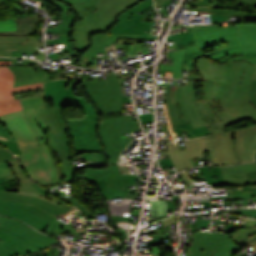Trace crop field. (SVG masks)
Wrapping results in <instances>:
<instances>
[{
  "mask_svg": "<svg viewBox=\"0 0 256 256\" xmlns=\"http://www.w3.org/2000/svg\"><path fill=\"white\" fill-rule=\"evenodd\" d=\"M0 143L4 144L5 147H7V148H8L11 152H13L14 154L20 153V151H19V149H18L16 143L4 141V140H0Z\"/></svg>",
  "mask_w": 256,
  "mask_h": 256,
  "instance_id": "b54c1fbb",
  "label": "crop field"
},
{
  "mask_svg": "<svg viewBox=\"0 0 256 256\" xmlns=\"http://www.w3.org/2000/svg\"><path fill=\"white\" fill-rule=\"evenodd\" d=\"M209 147L214 165H233L239 164L234 147V130H229L227 135L217 133L208 136Z\"/></svg>",
  "mask_w": 256,
  "mask_h": 256,
  "instance_id": "5142ce71",
  "label": "crop field"
},
{
  "mask_svg": "<svg viewBox=\"0 0 256 256\" xmlns=\"http://www.w3.org/2000/svg\"><path fill=\"white\" fill-rule=\"evenodd\" d=\"M89 166H98V167H101V166H105V164H98V163H91V162H88V163H86L85 165H82L81 167L84 168V167H89Z\"/></svg>",
  "mask_w": 256,
  "mask_h": 256,
  "instance_id": "447ae74e",
  "label": "crop field"
},
{
  "mask_svg": "<svg viewBox=\"0 0 256 256\" xmlns=\"http://www.w3.org/2000/svg\"><path fill=\"white\" fill-rule=\"evenodd\" d=\"M8 163H9V165L12 167V169H13V171H14L16 177H17V179H18L20 182L34 183V182H32L30 179H28V178L24 175V173H23V171H22V169H21V167H20V165H19V163H18L17 160L8 161Z\"/></svg>",
  "mask_w": 256,
  "mask_h": 256,
  "instance_id": "d32e631a",
  "label": "crop field"
},
{
  "mask_svg": "<svg viewBox=\"0 0 256 256\" xmlns=\"http://www.w3.org/2000/svg\"><path fill=\"white\" fill-rule=\"evenodd\" d=\"M47 229V228H46ZM65 230H63V229H60V228H58L57 226L55 227V228H53V227H49L47 230H45V231H43V233H45V234H49V235H53V236H58V235H60L61 233H63Z\"/></svg>",
  "mask_w": 256,
  "mask_h": 256,
  "instance_id": "5d738f31",
  "label": "crop field"
},
{
  "mask_svg": "<svg viewBox=\"0 0 256 256\" xmlns=\"http://www.w3.org/2000/svg\"><path fill=\"white\" fill-rule=\"evenodd\" d=\"M0 197L16 200V201H20V202L30 203V204L37 206L45 211L50 212L58 217H60L61 215L63 216L68 211V210L60 208L46 200L17 194V192L0 190Z\"/></svg>",
  "mask_w": 256,
  "mask_h": 256,
  "instance_id": "00972430",
  "label": "crop field"
},
{
  "mask_svg": "<svg viewBox=\"0 0 256 256\" xmlns=\"http://www.w3.org/2000/svg\"><path fill=\"white\" fill-rule=\"evenodd\" d=\"M198 170L205 177L206 182L214 186L249 184L247 174L222 176L219 167H198Z\"/></svg>",
  "mask_w": 256,
  "mask_h": 256,
  "instance_id": "92a150f3",
  "label": "crop field"
},
{
  "mask_svg": "<svg viewBox=\"0 0 256 256\" xmlns=\"http://www.w3.org/2000/svg\"><path fill=\"white\" fill-rule=\"evenodd\" d=\"M49 1L57 5L64 14L60 15L63 21L58 24L57 27L48 28L46 33L70 34L71 25L75 20L76 16L73 14H71L70 16L66 14V11L70 9L66 5L56 2L54 0ZM59 26H61V28H59Z\"/></svg>",
  "mask_w": 256,
  "mask_h": 256,
  "instance_id": "ae1a2a85",
  "label": "crop field"
},
{
  "mask_svg": "<svg viewBox=\"0 0 256 256\" xmlns=\"http://www.w3.org/2000/svg\"><path fill=\"white\" fill-rule=\"evenodd\" d=\"M25 117L39 139L41 146L20 148L21 155H16L26 174L45 187L58 183L55 164L47 146L44 133H48L37 107H43L41 96L20 100Z\"/></svg>",
  "mask_w": 256,
  "mask_h": 256,
  "instance_id": "412701ff",
  "label": "crop field"
},
{
  "mask_svg": "<svg viewBox=\"0 0 256 256\" xmlns=\"http://www.w3.org/2000/svg\"><path fill=\"white\" fill-rule=\"evenodd\" d=\"M139 117L142 124L153 122V114H140Z\"/></svg>",
  "mask_w": 256,
  "mask_h": 256,
  "instance_id": "73cf0c24",
  "label": "crop field"
},
{
  "mask_svg": "<svg viewBox=\"0 0 256 256\" xmlns=\"http://www.w3.org/2000/svg\"><path fill=\"white\" fill-rule=\"evenodd\" d=\"M256 196V191H248V192H230L231 200L243 199L246 197Z\"/></svg>",
  "mask_w": 256,
  "mask_h": 256,
  "instance_id": "b80d0937",
  "label": "crop field"
},
{
  "mask_svg": "<svg viewBox=\"0 0 256 256\" xmlns=\"http://www.w3.org/2000/svg\"><path fill=\"white\" fill-rule=\"evenodd\" d=\"M16 159L15 157L9 156V157H1L0 161H4V160H14Z\"/></svg>",
  "mask_w": 256,
  "mask_h": 256,
  "instance_id": "78b8030e",
  "label": "crop field"
},
{
  "mask_svg": "<svg viewBox=\"0 0 256 256\" xmlns=\"http://www.w3.org/2000/svg\"><path fill=\"white\" fill-rule=\"evenodd\" d=\"M54 158L59 182H73L75 166L71 162V142L68 131L46 134Z\"/></svg>",
  "mask_w": 256,
  "mask_h": 256,
  "instance_id": "28ad6ade",
  "label": "crop field"
},
{
  "mask_svg": "<svg viewBox=\"0 0 256 256\" xmlns=\"http://www.w3.org/2000/svg\"><path fill=\"white\" fill-rule=\"evenodd\" d=\"M121 34H97L92 36L91 42L92 46L91 48L86 51L85 53L82 54V57H87V58H99L103 59L100 57H97V53H105V48L106 46H112L117 40V38Z\"/></svg>",
  "mask_w": 256,
  "mask_h": 256,
  "instance_id": "730fd06b",
  "label": "crop field"
},
{
  "mask_svg": "<svg viewBox=\"0 0 256 256\" xmlns=\"http://www.w3.org/2000/svg\"><path fill=\"white\" fill-rule=\"evenodd\" d=\"M9 155H13V154L10 153L9 151H7L6 149L0 147V157L1 156H9Z\"/></svg>",
  "mask_w": 256,
  "mask_h": 256,
  "instance_id": "9d1cf04e",
  "label": "crop field"
},
{
  "mask_svg": "<svg viewBox=\"0 0 256 256\" xmlns=\"http://www.w3.org/2000/svg\"><path fill=\"white\" fill-rule=\"evenodd\" d=\"M221 212H226V213H232L240 216H245V217H255L256 218V209H238V210H224Z\"/></svg>",
  "mask_w": 256,
  "mask_h": 256,
  "instance_id": "028f5c9d",
  "label": "crop field"
},
{
  "mask_svg": "<svg viewBox=\"0 0 256 256\" xmlns=\"http://www.w3.org/2000/svg\"><path fill=\"white\" fill-rule=\"evenodd\" d=\"M151 256H159V255H154V254H152Z\"/></svg>",
  "mask_w": 256,
  "mask_h": 256,
  "instance_id": "c5b07064",
  "label": "crop field"
},
{
  "mask_svg": "<svg viewBox=\"0 0 256 256\" xmlns=\"http://www.w3.org/2000/svg\"><path fill=\"white\" fill-rule=\"evenodd\" d=\"M73 210H75L74 207H73L68 213H66L65 215L69 214V213H70L71 211H73ZM65 215H64V216H65ZM64 216H63V217H64Z\"/></svg>",
  "mask_w": 256,
  "mask_h": 256,
  "instance_id": "d14b1444",
  "label": "crop field"
},
{
  "mask_svg": "<svg viewBox=\"0 0 256 256\" xmlns=\"http://www.w3.org/2000/svg\"><path fill=\"white\" fill-rule=\"evenodd\" d=\"M249 245L256 249V240H254L253 242L249 243Z\"/></svg>",
  "mask_w": 256,
  "mask_h": 256,
  "instance_id": "e1d0b9f6",
  "label": "crop field"
},
{
  "mask_svg": "<svg viewBox=\"0 0 256 256\" xmlns=\"http://www.w3.org/2000/svg\"><path fill=\"white\" fill-rule=\"evenodd\" d=\"M69 202H71L72 204H74V205L78 208V210H79L81 213L84 214V216H85L86 219L93 217V215L91 214V212H90L87 208H85V207L77 200V198H76V199H72V200H70ZM71 203H70V204H71ZM74 205H73V206H74Z\"/></svg>",
  "mask_w": 256,
  "mask_h": 256,
  "instance_id": "c035e120",
  "label": "crop field"
},
{
  "mask_svg": "<svg viewBox=\"0 0 256 256\" xmlns=\"http://www.w3.org/2000/svg\"><path fill=\"white\" fill-rule=\"evenodd\" d=\"M239 247L225 234L195 233L186 256H232Z\"/></svg>",
  "mask_w": 256,
  "mask_h": 256,
  "instance_id": "3316defc",
  "label": "crop field"
},
{
  "mask_svg": "<svg viewBox=\"0 0 256 256\" xmlns=\"http://www.w3.org/2000/svg\"><path fill=\"white\" fill-rule=\"evenodd\" d=\"M191 5L196 14L211 16L212 23L228 20V16L255 17L256 20V8L239 0H197Z\"/></svg>",
  "mask_w": 256,
  "mask_h": 256,
  "instance_id": "d8731c3e",
  "label": "crop field"
},
{
  "mask_svg": "<svg viewBox=\"0 0 256 256\" xmlns=\"http://www.w3.org/2000/svg\"><path fill=\"white\" fill-rule=\"evenodd\" d=\"M209 223H210V220H201V219H197L196 226H199V227H208V228H209Z\"/></svg>",
  "mask_w": 256,
  "mask_h": 256,
  "instance_id": "dbb93151",
  "label": "crop field"
},
{
  "mask_svg": "<svg viewBox=\"0 0 256 256\" xmlns=\"http://www.w3.org/2000/svg\"><path fill=\"white\" fill-rule=\"evenodd\" d=\"M0 121L14 137L19 147L40 145L24 118L23 111L0 117Z\"/></svg>",
  "mask_w": 256,
  "mask_h": 256,
  "instance_id": "d9b57169",
  "label": "crop field"
},
{
  "mask_svg": "<svg viewBox=\"0 0 256 256\" xmlns=\"http://www.w3.org/2000/svg\"><path fill=\"white\" fill-rule=\"evenodd\" d=\"M111 74L107 76L106 81L81 82L89 98L103 116L107 113L123 111L122 103L131 102L128 98L131 96H121L120 79L116 77L113 70ZM138 130H141L138 121H134L130 115L105 119V122L100 125L99 133L110 163H116L123 149L135 138L122 139L121 135Z\"/></svg>",
  "mask_w": 256,
  "mask_h": 256,
  "instance_id": "34b2d1b8",
  "label": "crop field"
},
{
  "mask_svg": "<svg viewBox=\"0 0 256 256\" xmlns=\"http://www.w3.org/2000/svg\"><path fill=\"white\" fill-rule=\"evenodd\" d=\"M73 214H75L78 219L82 218L81 214L78 211H73Z\"/></svg>",
  "mask_w": 256,
  "mask_h": 256,
  "instance_id": "0f1d7ab4",
  "label": "crop field"
},
{
  "mask_svg": "<svg viewBox=\"0 0 256 256\" xmlns=\"http://www.w3.org/2000/svg\"><path fill=\"white\" fill-rule=\"evenodd\" d=\"M153 236V240H150V245H160L165 244L166 249H170L169 243H162L161 239H165L161 231L153 232L150 237Z\"/></svg>",
  "mask_w": 256,
  "mask_h": 256,
  "instance_id": "e1f06a70",
  "label": "crop field"
},
{
  "mask_svg": "<svg viewBox=\"0 0 256 256\" xmlns=\"http://www.w3.org/2000/svg\"><path fill=\"white\" fill-rule=\"evenodd\" d=\"M187 150L180 151L178 142L168 143L167 149L178 171L194 167L191 160L203 157L202 151L210 150L207 136L186 141Z\"/></svg>",
  "mask_w": 256,
  "mask_h": 256,
  "instance_id": "cbeb9de0",
  "label": "crop field"
},
{
  "mask_svg": "<svg viewBox=\"0 0 256 256\" xmlns=\"http://www.w3.org/2000/svg\"><path fill=\"white\" fill-rule=\"evenodd\" d=\"M72 141V153L103 152L96 132L98 123L88 119H66Z\"/></svg>",
  "mask_w": 256,
  "mask_h": 256,
  "instance_id": "d1516ede",
  "label": "crop field"
},
{
  "mask_svg": "<svg viewBox=\"0 0 256 256\" xmlns=\"http://www.w3.org/2000/svg\"><path fill=\"white\" fill-rule=\"evenodd\" d=\"M196 63L200 75L192 71L185 86H167L168 104L163 105L172 135L183 136L185 130L192 139L226 130L241 119L256 121L249 96L255 66L247 61L214 64L203 58Z\"/></svg>",
  "mask_w": 256,
  "mask_h": 256,
  "instance_id": "8a807250",
  "label": "crop field"
},
{
  "mask_svg": "<svg viewBox=\"0 0 256 256\" xmlns=\"http://www.w3.org/2000/svg\"><path fill=\"white\" fill-rule=\"evenodd\" d=\"M153 7L152 0H144L132 9H128L118 17V23L113 26L110 33H123L120 37L137 39H157V37L144 36V30H151V23L142 22L144 15ZM139 12V14H137Z\"/></svg>",
  "mask_w": 256,
  "mask_h": 256,
  "instance_id": "5a996713",
  "label": "crop field"
},
{
  "mask_svg": "<svg viewBox=\"0 0 256 256\" xmlns=\"http://www.w3.org/2000/svg\"><path fill=\"white\" fill-rule=\"evenodd\" d=\"M254 156H255V160H256V153H255V155H254Z\"/></svg>",
  "mask_w": 256,
  "mask_h": 256,
  "instance_id": "c3a83c6f",
  "label": "crop field"
},
{
  "mask_svg": "<svg viewBox=\"0 0 256 256\" xmlns=\"http://www.w3.org/2000/svg\"><path fill=\"white\" fill-rule=\"evenodd\" d=\"M245 225L246 227L255 226V221L245 219Z\"/></svg>",
  "mask_w": 256,
  "mask_h": 256,
  "instance_id": "db79e9e6",
  "label": "crop field"
},
{
  "mask_svg": "<svg viewBox=\"0 0 256 256\" xmlns=\"http://www.w3.org/2000/svg\"><path fill=\"white\" fill-rule=\"evenodd\" d=\"M44 108H39L40 114L50 132L68 130L62 107H46L45 97L42 96Z\"/></svg>",
  "mask_w": 256,
  "mask_h": 256,
  "instance_id": "dafd665d",
  "label": "crop field"
},
{
  "mask_svg": "<svg viewBox=\"0 0 256 256\" xmlns=\"http://www.w3.org/2000/svg\"><path fill=\"white\" fill-rule=\"evenodd\" d=\"M229 235L240 247H243L247 243L256 239V227L240 229L230 233Z\"/></svg>",
  "mask_w": 256,
  "mask_h": 256,
  "instance_id": "1d83c4d3",
  "label": "crop field"
},
{
  "mask_svg": "<svg viewBox=\"0 0 256 256\" xmlns=\"http://www.w3.org/2000/svg\"><path fill=\"white\" fill-rule=\"evenodd\" d=\"M0 139H5V138L0 136ZM5 140H7V139H5Z\"/></svg>",
  "mask_w": 256,
  "mask_h": 256,
  "instance_id": "c39391a2",
  "label": "crop field"
},
{
  "mask_svg": "<svg viewBox=\"0 0 256 256\" xmlns=\"http://www.w3.org/2000/svg\"><path fill=\"white\" fill-rule=\"evenodd\" d=\"M67 82L68 80H55L44 84V94L53 93L54 106L63 105Z\"/></svg>",
  "mask_w": 256,
  "mask_h": 256,
  "instance_id": "d3111659",
  "label": "crop field"
},
{
  "mask_svg": "<svg viewBox=\"0 0 256 256\" xmlns=\"http://www.w3.org/2000/svg\"><path fill=\"white\" fill-rule=\"evenodd\" d=\"M68 3L73 7L74 12L78 15V20L82 19L88 13L96 10L99 0H60Z\"/></svg>",
  "mask_w": 256,
  "mask_h": 256,
  "instance_id": "750c4746",
  "label": "crop field"
},
{
  "mask_svg": "<svg viewBox=\"0 0 256 256\" xmlns=\"http://www.w3.org/2000/svg\"><path fill=\"white\" fill-rule=\"evenodd\" d=\"M136 179L142 178L136 175L110 174L96 184L105 199H119L126 198L125 191L135 183Z\"/></svg>",
  "mask_w": 256,
  "mask_h": 256,
  "instance_id": "733c2abd",
  "label": "crop field"
},
{
  "mask_svg": "<svg viewBox=\"0 0 256 256\" xmlns=\"http://www.w3.org/2000/svg\"><path fill=\"white\" fill-rule=\"evenodd\" d=\"M45 97H46L47 106H50V105H49V100H52V99H53L52 94L45 95Z\"/></svg>",
  "mask_w": 256,
  "mask_h": 256,
  "instance_id": "7b73153f",
  "label": "crop field"
},
{
  "mask_svg": "<svg viewBox=\"0 0 256 256\" xmlns=\"http://www.w3.org/2000/svg\"><path fill=\"white\" fill-rule=\"evenodd\" d=\"M0 61H11V58H0Z\"/></svg>",
  "mask_w": 256,
  "mask_h": 256,
  "instance_id": "ae633e8c",
  "label": "crop field"
},
{
  "mask_svg": "<svg viewBox=\"0 0 256 256\" xmlns=\"http://www.w3.org/2000/svg\"><path fill=\"white\" fill-rule=\"evenodd\" d=\"M82 159L107 163L103 153H84Z\"/></svg>",
  "mask_w": 256,
  "mask_h": 256,
  "instance_id": "0bd39190",
  "label": "crop field"
},
{
  "mask_svg": "<svg viewBox=\"0 0 256 256\" xmlns=\"http://www.w3.org/2000/svg\"><path fill=\"white\" fill-rule=\"evenodd\" d=\"M0 135L6 137L10 141H14L12 136L9 134V132L6 130V128L3 126V124L0 122Z\"/></svg>",
  "mask_w": 256,
  "mask_h": 256,
  "instance_id": "89e229c0",
  "label": "crop field"
},
{
  "mask_svg": "<svg viewBox=\"0 0 256 256\" xmlns=\"http://www.w3.org/2000/svg\"><path fill=\"white\" fill-rule=\"evenodd\" d=\"M141 0H100L97 11L73 25L75 49L83 53L89 49L90 38L97 33H107L115 25L120 12L133 7ZM91 20V21H89Z\"/></svg>",
  "mask_w": 256,
  "mask_h": 256,
  "instance_id": "f4fd0767",
  "label": "crop field"
},
{
  "mask_svg": "<svg viewBox=\"0 0 256 256\" xmlns=\"http://www.w3.org/2000/svg\"><path fill=\"white\" fill-rule=\"evenodd\" d=\"M110 173H120L117 165H110L106 170L86 169L85 180L97 182Z\"/></svg>",
  "mask_w": 256,
  "mask_h": 256,
  "instance_id": "120bbe31",
  "label": "crop field"
},
{
  "mask_svg": "<svg viewBox=\"0 0 256 256\" xmlns=\"http://www.w3.org/2000/svg\"><path fill=\"white\" fill-rule=\"evenodd\" d=\"M168 154V152L167 151H164V152H161V155H167ZM169 157H170V155H169ZM159 161V163H160V166H161V168L162 169H165V168H169V167H173L174 166V164H173V162H172V160H171V157H170V159H162V160H158ZM176 168V167H175ZM177 170V169H176ZM178 172V171H177Z\"/></svg>",
  "mask_w": 256,
  "mask_h": 256,
  "instance_id": "03da06ac",
  "label": "crop field"
},
{
  "mask_svg": "<svg viewBox=\"0 0 256 256\" xmlns=\"http://www.w3.org/2000/svg\"><path fill=\"white\" fill-rule=\"evenodd\" d=\"M19 183L7 161L0 162V189L17 191Z\"/></svg>",
  "mask_w": 256,
  "mask_h": 256,
  "instance_id": "eef30255",
  "label": "crop field"
},
{
  "mask_svg": "<svg viewBox=\"0 0 256 256\" xmlns=\"http://www.w3.org/2000/svg\"><path fill=\"white\" fill-rule=\"evenodd\" d=\"M1 243H2V241H0V244ZM0 256H18V255L16 253H14L13 251L0 245Z\"/></svg>",
  "mask_w": 256,
  "mask_h": 256,
  "instance_id": "25e5ab78",
  "label": "crop field"
},
{
  "mask_svg": "<svg viewBox=\"0 0 256 256\" xmlns=\"http://www.w3.org/2000/svg\"><path fill=\"white\" fill-rule=\"evenodd\" d=\"M11 62H0V116L23 110L19 100H14L12 92L42 87V83L12 88L13 75L8 67Z\"/></svg>",
  "mask_w": 256,
  "mask_h": 256,
  "instance_id": "22f410ed",
  "label": "crop field"
},
{
  "mask_svg": "<svg viewBox=\"0 0 256 256\" xmlns=\"http://www.w3.org/2000/svg\"><path fill=\"white\" fill-rule=\"evenodd\" d=\"M171 0H155L156 7H166Z\"/></svg>",
  "mask_w": 256,
  "mask_h": 256,
  "instance_id": "1f2cbd36",
  "label": "crop field"
},
{
  "mask_svg": "<svg viewBox=\"0 0 256 256\" xmlns=\"http://www.w3.org/2000/svg\"><path fill=\"white\" fill-rule=\"evenodd\" d=\"M253 79H256V73H255V75H254V78Z\"/></svg>",
  "mask_w": 256,
  "mask_h": 256,
  "instance_id": "ade564c9",
  "label": "crop field"
},
{
  "mask_svg": "<svg viewBox=\"0 0 256 256\" xmlns=\"http://www.w3.org/2000/svg\"><path fill=\"white\" fill-rule=\"evenodd\" d=\"M1 245L19 255L41 252L59 241L43 235L23 222L0 216Z\"/></svg>",
  "mask_w": 256,
  "mask_h": 256,
  "instance_id": "dd49c442",
  "label": "crop field"
},
{
  "mask_svg": "<svg viewBox=\"0 0 256 256\" xmlns=\"http://www.w3.org/2000/svg\"><path fill=\"white\" fill-rule=\"evenodd\" d=\"M0 214L21 219L40 232L48 228L50 225L54 227L57 225L60 228L78 235L74 228L58 221V217L53 216L30 204L0 198Z\"/></svg>",
  "mask_w": 256,
  "mask_h": 256,
  "instance_id": "e52e79f7",
  "label": "crop field"
},
{
  "mask_svg": "<svg viewBox=\"0 0 256 256\" xmlns=\"http://www.w3.org/2000/svg\"><path fill=\"white\" fill-rule=\"evenodd\" d=\"M177 219H178V217L171 218V219H168V220L163 221L162 223H163L164 226H165V225H169V224H172V223H176V222H177Z\"/></svg>",
  "mask_w": 256,
  "mask_h": 256,
  "instance_id": "1d79db26",
  "label": "crop field"
},
{
  "mask_svg": "<svg viewBox=\"0 0 256 256\" xmlns=\"http://www.w3.org/2000/svg\"><path fill=\"white\" fill-rule=\"evenodd\" d=\"M235 147L242 163L254 161L253 152L256 150V125L235 130Z\"/></svg>",
  "mask_w": 256,
  "mask_h": 256,
  "instance_id": "4a817a6b",
  "label": "crop field"
},
{
  "mask_svg": "<svg viewBox=\"0 0 256 256\" xmlns=\"http://www.w3.org/2000/svg\"><path fill=\"white\" fill-rule=\"evenodd\" d=\"M241 1H243L247 5L256 6V0H241Z\"/></svg>",
  "mask_w": 256,
  "mask_h": 256,
  "instance_id": "0765c3eb",
  "label": "crop field"
},
{
  "mask_svg": "<svg viewBox=\"0 0 256 256\" xmlns=\"http://www.w3.org/2000/svg\"><path fill=\"white\" fill-rule=\"evenodd\" d=\"M186 29L188 32L168 37L177 41L178 51L168 53L167 57L173 58V66L160 64L161 76L181 78L182 63H188L192 69L199 56H206L213 62L246 59L256 64V24L223 28L192 26Z\"/></svg>",
  "mask_w": 256,
  "mask_h": 256,
  "instance_id": "ac0d7876",
  "label": "crop field"
},
{
  "mask_svg": "<svg viewBox=\"0 0 256 256\" xmlns=\"http://www.w3.org/2000/svg\"><path fill=\"white\" fill-rule=\"evenodd\" d=\"M0 31H16L15 21H0Z\"/></svg>",
  "mask_w": 256,
  "mask_h": 256,
  "instance_id": "c21b1889",
  "label": "crop field"
},
{
  "mask_svg": "<svg viewBox=\"0 0 256 256\" xmlns=\"http://www.w3.org/2000/svg\"><path fill=\"white\" fill-rule=\"evenodd\" d=\"M57 250H58V248L52 249V247H51L39 254L27 255V256H55Z\"/></svg>",
  "mask_w": 256,
  "mask_h": 256,
  "instance_id": "d23c7cc5",
  "label": "crop field"
},
{
  "mask_svg": "<svg viewBox=\"0 0 256 256\" xmlns=\"http://www.w3.org/2000/svg\"><path fill=\"white\" fill-rule=\"evenodd\" d=\"M30 64H37L36 61L24 59L23 67H15V59L12 58V66H8L13 72L15 81L13 87L39 83L50 80L47 70L36 72L34 68L28 67Z\"/></svg>",
  "mask_w": 256,
  "mask_h": 256,
  "instance_id": "bc2a9ffb",
  "label": "crop field"
},
{
  "mask_svg": "<svg viewBox=\"0 0 256 256\" xmlns=\"http://www.w3.org/2000/svg\"><path fill=\"white\" fill-rule=\"evenodd\" d=\"M18 193L46 199L60 207L66 208L68 210H70L72 208L71 205H69L65 201L55 197L54 195H52L51 193H49L48 191H46L44 188H42L41 186H39L37 184L20 183Z\"/></svg>",
  "mask_w": 256,
  "mask_h": 256,
  "instance_id": "4177f3b9",
  "label": "crop field"
},
{
  "mask_svg": "<svg viewBox=\"0 0 256 256\" xmlns=\"http://www.w3.org/2000/svg\"><path fill=\"white\" fill-rule=\"evenodd\" d=\"M250 96H251V101L256 106V80H252V85L250 88Z\"/></svg>",
  "mask_w": 256,
  "mask_h": 256,
  "instance_id": "425ffa30",
  "label": "crop field"
},
{
  "mask_svg": "<svg viewBox=\"0 0 256 256\" xmlns=\"http://www.w3.org/2000/svg\"><path fill=\"white\" fill-rule=\"evenodd\" d=\"M223 175H233L256 171V162L230 166V167H220ZM249 183L256 186V173L248 175Z\"/></svg>",
  "mask_w": 256,
  "mask_h": 256,
  "instance_id": "bd1437ed",
  "label": "crop field"
},
{
  "mask_svg": "<svg viewBox=\"0 0 256 256\" xmlns=\"http://www.w3.org/2000/svg\"><path fill=\"white\" fill-rule=\"evenodd\" d=\"M179 174L188 186L193 185L184 172H181Z\"/></svg>",
  "mask_w": 256,
  "mask_h": 256,
  "instance_id": "0fb4a251",
  "label": "crop field"
},
{
  "mask_svg": "<svg viewBox=\"0 0 256 256\" xmlns=\"http://www.w3.org/2000/svg\"><path fill=\"white\" fill-rule=\"evenodd\" d=\"M55 43H65L66 48H62V52H74L73 49L71 48V43L69 39H52V40H47V45L50 44H55ZM49 58H54L57 59L58 53H51L48 54Z\"/></svg>",
  "mask_w": 256,
  "mask_h": 256,
  "instance_id": "5866460e",
  "label": "crop field"
},
{
  "mask_svg": "<svg viewBox=\"0 0 256 256\" xmlns=\"http://www.w3.org/2000/svg\"><path fill=\"white\" fill-rule=\"evenodd\" d=\"M76 87L75 80L72 81L69 89L67 90L64 105L80 107L86 118L99 122L100 117L93 105L85 100L84 97H77L73 95V90Z\"/></svg>",
  "mask_w": 256,
  "mask_h": 256,
  "instance_id": "a9b5d70f",
  "label": "crop field"
},
{
  "mask_svg": "<svg viewBox=\"0 0 256 256\" xmlns=\"http://www.w3.org/2000/svg\"><path fill=\"white\" fill-rule=\"evenodd\" d=\"M39 43L35 35L32 36H0V56L11 57V50L35 51Z\"/></svg>",
  "mask_w": 256,
  "mask_h": 256,
  "instance_id": "214f88e0",
  "label": "crop field"
}]
</instances>
